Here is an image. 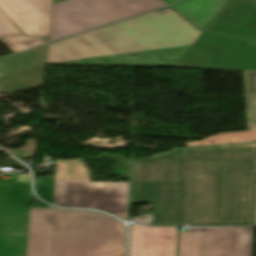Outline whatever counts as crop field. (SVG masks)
Instances as JSON below:
<instances>
[{
    "label": "crop field",
    "instance_id": "8a807250",
    "mask_svg": "<svg viewBox=\"0 0 256 256\" xmlns=\"http://www.w3.org/2000/svg\"><path fill=\"white\" fill-rule=\"evenodd\" d=\"M256 144L175 149L133 160L132 203L155 225H253Z\"/></svg>",
    "mask_w": 256,
    "mask_h": 256
},
{
    "label": "crop field",
    "instance_id": "ac0d7876",
    "mask_svg": "<svg viewBox=\"0 0 256 256\" xmlns=\"http://www.w3.org/2000/svg\"><path fill=\"white\" fill-rule=\"evenodd\" d=\"M201 33L157 11L50 44L47 64L174 67Z\"/></svg>",
    "mask_w": 256,
    "mask_h": 256
},
{
    "label": "crop field",
    "instance_id": "34b2d1b8",
    "mask_svg": "<svg viewBox=\"0 0 256 256\" xmlns=\"http://www.w3.org/2000/svg\"><path fill=\"white\" fill-rule=\"evenodd\" d=\"M126 228L94 211L31 208L27 256H125Z\"/></svg>",
    "mask_w": 256,
    "mask_h": 256
},
{
    "label": "crop field",
    "instance_id": "412701ff",
    "mask_svg": "<svg viewBox=\"0 0 256 256\" xmlns=\"http://www.w3.org/2000/svg\"><path fill=\"white\" fill-rule=\"evenodd\" d=\"M55 205L102 209L127 220L128 183L91 182L82 159L57 160Z\"/></svg>",
    "mask_w": 256,
    "mask_h": 256
},
{
    "label": "crop field",
    "instance_id": "f4fd0767",
    "mask_svg": "<svg viewBox=\"0 0 256 256\" xmlns=\"http://www.w3.org/2000/svg\"><path fill=\"white\" fill-rule=\"evenodd\" d=\"M164 6L162 0H67L54 5L50 42Z\"/></svg>",
    "mask_w": 256,
    "mask_h": 256
},
{
    "label": "crop field",
    "instance_id": "dd49c442",
    "mask_svg": "<svg viewBox=\"0 0 256 256\" xmlns=\"http://www.w3.org/2000/svg\"><path fill=\"white\" fill-rule=\"evenodd\" d=\"M175 68L256 70V43L204 31Z\"/></svg>",
    "mask_w": 256,
    "mask_h": 256
},
{
    "label": "crop field",
    "instance_id": "e52e79f7",
    "mask_svg": "<svg viewBox=\"0 0 256 256\" xmlns=\"http://www.w3.org/2000/svg\"><path fill=\"white\" fill-rule=\"evenodd\" d=\"M17 181H30L18 174ZM31 191L0 182V256H26Z\"/></svg>",
    "mask_w": 256,
    "mask_h": 256
},
{
    "label": "crop field",
    "instance_id": "d8731c3e",
    "mask_svg": "<svg viewBox=\"0 0 256 256\" xmlns=\"http://www.w3.org/2000/svg\"><path fill=\"white\" fill-rule=\"evenodd\" d=\"M177 256H253V228L178 232Z\"/></svg>",
    "mask_w": 256,
    "mask_h": 256
},
{
    "label": "crop field",
    "instance_id": "5a996713",
    "mask_svg": "<svg viewBox=\"0 0 256 256\" xmlns=\"http://www.w3.org/2000/svg\"><path fill=\"white\" fill-rule=\"evenodd\" d=\"M46 46L0 59V92L16 93L42 85Z\"/></svg>",
    "mask_w": 256,
    "mask_h": 256
},
{
    "label": "crop field",
    "instance_id": "3316defc",
    "mask_svg": "<svg viewBox=\"0 0 256 256\" xmlns=\"http://www.w3.org/2000/svg\"><path fill=\"white\" fill-rule=\"evenodd\" d=\"M0 8L27 36H49L53 0H0Z\"/></svg>",
    "mask_w": 256,
    "mask_h": 256
},
{
    "label": "crop field",
    "instance_id": "28ad6ade",
    "mask_svg": "<svg viewBox=\"0 0 256 256\" xmlns=\"http://www.w3.org/2000/svg\"><path fill=\"white\" fill-rule=\"evenodd\" d=\"M206 30L254 42L256 0H230Z\"/></svg>",
    "mask_w": 256,
    "mask_h": 256
},
{
    "label": "crop field",
    "instance_id": "d1516ede",
    "mask_svg": "<svg viewBox=\"0 0 256 256\" xmlns=\"http://www.w3.org/2000/svg\"><path fill=\"white\" fill-rule=\"evenodd\" d=\"M176 227H132L131 256H176Z\"/></svg>",
    "mask_w": 256,
    "mask_h": 256
},
{
    "label": "crop field",
    "instance_id": "22f410ed",
    "mask_svg": "<svg viewBox=\"0 0 256 256\" xmlns=\"http://www.w3.org/2000/svg\"><path fill=\"white\" fill-rule=\"evenodd\" d=\"M244 95L248 131L220 133L188 146L256 141V71H244Z\"/></svg>",
    "mask_w": 256,
    "mask_h": 256
},
{
    "label": "crop field",
    "instance_id": "cbeb9de0",
    "mask_svg": "<svg viewBox=\"0 0 256 256\" xmlns=\"http://www.w3.org/2000/svg\"><path fill=\"white\" fill-rule=\"evenodd\" d=\"M229 0H187L172 7L205 30Z\"/></svg>",
    "mask_w": 256,
    "mask_h": 256
},
{
    "label": "crop field",
    "instance_id": "5142ce71",
    "mask_svg": "<svg viewBox=\"0 0 256 256\" xmlns=\"http://www.w3.org/2000/svg\"><path fill=\"white\" fill-rule=\"evenodd\" d=\"M0 41L14 53L48 42V38H28L0 12Z\"/></svg>",
    "mask_w": 256,
    "mask_h": 256
},
{
    "label": "crop field",
    "instance_id": "d9b57169",
    "mask_svg": "<svg viewBox=\"0 0 256 256\" xmlns=\"http://www.w3.org/2000/svg\"><path fill=\"white\" fill-rule=\"evenodd\" d=\"M165 2H167L168 4L172 3V2H175V1H178V0H164ZM173 4V3H172Z\"/></svg>",
    "mask_w": 256,
    "mask_h": 256
},
{
    "label": "crop field",
    "instance_id": "733c2abd",
    "mask_svg": "<svg viewBox=\"0 0 256 256\" xmlns=\"http://www.w3.org/2000/svg\"><path fill=\"white\" fill-rule=\"evenodd\" d=\"M61 1H64V0H54V4L58 3V2H61Z\"/></svg>",
    "mask_w": 256,
    "mask_h": 256
},
{
    "label": "crop field",
    "instance_id": "4a817a6b",
    "mask_svg": "<svg viewBox=\"0 0 256 256\" xmlns=\"http://www.w3.org/2000/svg\"><path fill=\"white\" fill-rule=\"evenodd\" d=\"M255 225H256V213H255Z\"/></svg>",
    "mask_w": 256,
    "mask_h": 256
},
{
    "label": "crop field",
    "instance_id": "bc2a9ffb",
    "mask_svg": "<svg viewBox=\"0 0 256 256\" xmlns=\"http://www.w3.org/2000/svg\"><path fill=\"white\" fill-rule=\"evenodd\" d=\"M255 42H256V40H255Z\"/></svg>",
    "mask_w": 256,
    "mask_h": 256
}]
</instances>
